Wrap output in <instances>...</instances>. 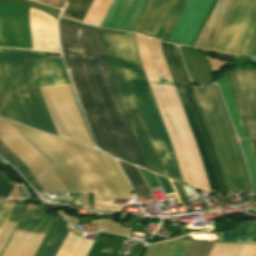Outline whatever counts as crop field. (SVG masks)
<instances>
[{"label": "crop field", "instance_id": "crop-field-1", "mask_svg": "<svg viewBox=\"0 0 256 256\" xmlns=\"http://www.w3.org/2000/svg\"><path fill=\"white\" fill-rule=\"evenodd\" d=\"M12 124L49 158L71 192H82V206L89 208L91 191L99 210L122 207L102 198H134L116 163L100 151Z\"/></svg>", "mask_w": 256, "mask_h": 256}, {"label": "crop field", "instance_id": "crop-field-2", "mask_svg": "<svg viewBox=\"0 0 256 256\" xmlns=\"http://www.w3.org/2000/svg\"><path fill=\"white\" fill-rule=\"evenodd\" d=\"M137 52L172 145L182 180L210 190L196 142L163 57L160 42L135 34Z\"/></svg>", "mask_w": 256, "mask_h": 256}, {"label": "crop field", "instance_id": "crop-field-3", "mask_svg": "<svg viewBox=\"0 0 256 256\" xmlns=\"http://www.w3.org/2000/svg\"><path fill=\"white\" fill-rule=\"evenodd\" d=\"M60 25L65 60L96 144L98 148L123 159L87 61L82 24L62 19Z\"/></svg>", "mask_w": 256, "mask_h": 256}, {"label": "crop field", "instance_id": "crop-field-4", "mask_svg": "<svg viewBox=\"0 0 256 256\" xmlns=\"http://www.w3.org/2000/svg\"><path fill=\"white\" fill-rule=\"evenodd\" d=\"M119 58L134 94L161 173L180 180L173 152L138 59L133 33L116 31Z\"/></svg>", "mask_w": 256, "mask_h": 256}, {"label": "crop field", "instance_id": "crop-field-5", "mask_svg": "<svg viewBox=\"0 0 256 256\" xmlns=\"http://www.w3.org/2000/svg\"><path fill=\"white\" fill-rule=\"evenodd\" d=\"M39 88L69 85L61 58L31 52ZM59 137L92 146L69 86L40 89ZM93 147V146H92Z\"/></svg>", "mask_w": 256, "mask_h": 256}, {"label": "crop field", "instance_id": "crop-field-6", "mask_svg": "<svg viewBox=\"0 0 256 256\" xmlns=\"http://www.w3.org/2000/svg\"><path fill=\"white\" fill-rule=\"evenodd\" d=\"M193 89L213 140L228 192H250L237 142L216 86Z\"/></svg>", "mask_w": 256, "mask_h": 256}, {"label": "crop field", "instance_id": "crop-field-7", "mask_svg": "<svg viewBox=\"0 0 256 256\" xmlns=\"http://www.w3.org/2000/svg\"><path fill=\"white\" fill-rule=\"evenodd\" d=\"M83 27L88 61L94 74L124 159L144 167L104 57L100 29L86 26L84 24Z\"/></svg>", "mask_w": 256, "mask_h": 256}, {"label": "crop field", "instance_id": "crop-field-8", "mask_svg": "<svg viewBox=\"0 0 256 256\" xmlns=\"http://www.w3.org/2000/svg\"><path fill=\"white\" fill-rule=\"evenodd\" d=\"M161 47L197 142L210 189L226 191L213 143L204 123L178 48L162 42Z\"/></svg>", "mask_w": 256, "mask_h": 256}, {"label": "crop field", "instance_id": "crop-field-9", "mask_svg": "<svg viewBox=\"0 0 256 256\" xmlns=\"http://www.w3.org/2000/svg\"><path fill=\"white\" fill-rule=\"evenodd\" d=\"M4 55L7 76L25 124L56 135L33 76L30 52L4 50Z\"/></svg>", "mask_w": 256, "mask_h": 256}, {"label": "crop field", "instance_id": "crop-field-10", "mask_svg": "<svg viewBox=\"0 0 256 256\" xmlns=\"http://www.w3.org/2000/svg\"><path fill=\"white\" fill-rule=\"evenodd\" d=\"M4 121L45 160L63 190H67L47 158L38 149H36L20 132H18L8 121ZM4 121L0 119V140L4 142L32 170L44 192H69L62 190L44 160ZM1 141L0 154L7 161L14 164L31 181V183L37 190L43 191L37 180L35 179L34 175L32 174L31 170Z\"/></svg>", "mask_w": 256, "mask_h": 256}, {"label": "crop field", "instance_id": "crop-field-11", "mask_svg": "<svg viewBox=\"0 0 256 256\" xmlns=\"http://www.w3.org/2000/svg\"><path fill=\"white\" fill-rule=\"evenodd\" d=\"M105 53L136 136L146 167L160 173L157 160L117 54L115 31L104 30ZM147 169V170H148ZM161 174V173H160Z\"/></svg>", "mask_w": 256, "mask_h": 256}, {"label": "crop field", "instance_id": "crop-field-12", "mask_svg": "<svg viewBox=\"0 0 256 256\" xmlns=\"http://www.w3.org/2000/svg\"><path fill=\"white\" fill-rule=\"evenodd\" d=\"M256 28V0H239L213 51L242 54Z\"/></svg>", "mask_w": 256, "mask_h": 256}, {"label": "crop field", "instance_id": "crop-field-13", "mask_svg": "<svg viewBox=\"0 0 256 256\" xmlns=\"http://www.w3.org/2000/svg\"><path fill=\"white\" fill-rule=\"evenodd\" d=\"M54 217L51 212L43 207L37 212L26 210L16 231L43 238ZM16 231H14L2 256H33L42 238Z\"/></svg>", "mask_w": 256, "mask_h": 256}, {"label": "crop field", "instance_id": "crop-field-14", "mask_svg": "<svg viewBox=\"0 0 256 256\" xmlns=\"http://www.w3.org/2000/svg\"><path fill=\"white\" fill-rule=\"evenodd\" d=\"M249 137L256 136V72L226 74Z\"/></svg>", "mask_w": 256, "mask_h": 256}, {"label": "crop field", "instance_id": "crop-field-15", "mask_svg": "<svg viewBox=\"0 0 256 256\" xmlns=\"http://www.w3.org/2000/svg\"><path fill=\"white\" fill-rule=\"evenodd\" d=\"M67 228L54 219L35 256H54L62 243ZM93 241L67 233L55 256H86Z\"/></svg>", "mask_w": 256, "mask_h": 256}, {"label": "crop field", "instance_id": "crop-field-16", "mask_svg": "<svg viewBox=\"0 0 256 256\" xmlns=\"http://www.w3.org/2000/svg\"><path fill=\"white\" fill-rule=\"evenodd\" d=\"M215 0H190L169 40L191 46Z\"/></svg>", "mask_w": 256, "mask_h": 256}, {"label": "crop field", "instance_id": "crop-field-17", "mask_svg": "<svg viewBox=\"0 0 256 256\" xmlns=\"http://www.w3.org/2000/svg\"><path fill=\"white\" fill-rule=\"evenodd\" d=\"M29 21L33 49L60 51L57 20L30 8Z\"/></svg>", "mask_w": 256, "mask_h": 256}, {"label": "crop field", "instance_id": "crop-field-18", "mask_svg": "<svg viewBox=\"0 0 256 256\" xmlns=\"http://www.w3.org/2000/svg\"><path fill=\"white\" fill-rule=\"evenodd\" d=\"M238 0H218L194 47L212 50Z\"/></svg>", "mask_w": 256, "mask_h": 256}, {"label": "crop field", "instance_id": "crop-field-19", "mask_svg": "<svg viewBox=\"0 0 256 256\" xmlns=\"http://www.w3.org/2000/svg\"><path fill=\"white\" fill-rule=\"evenodd\" d=\"M0 46L32 49L28 18L0 15Z\"/></svg>", "mask_w": 256, "mask_h": 256}, {"label": "crop field", "instance_id": "crop-field-20", "mask_svg": "<svg viewBox=\"0 0 256 256\" xmlns=\"http://www.w3.org/2000/svg\"><path fill=\"white\" fill-rule=\"evenodd\" d=\"M174 1L147 0L132 30L156 37Z\"/></svg>", "mask_w": 256, "mask_h": 256}, {"label": "crop field", "instance_id": "crop-field-21", "mask_svg": "<svg viewBox=\"0 0 256 256\" xmlns=\"http://www.w3.org/2000/svg\"><path fill=\"white\" fill-rule=\"evenodd\" d=\"M146 0H114L101 26L131 30Z\"/></svg>", "mask_w": 256, "mask_h": 256}, {"label": "crop field", "instance_id": "crop-field-22", "mask_svg": "<svg viewBox=\"0 0 256 256\" xmlns=\"http://www.w3.org/2000/svg\"><path fill=\"white\" fill-rule=\"evenodd\" d=\"M124 237L106 233H98L87 256H119L116 255ZM143 243L133 246L129 256H137ZM139 256V255H138Z\"/></svg>", "mask_w": 256, "mask_h": 256}, {"label": "crop field", "instance_id": "crop-field-23", "mask_svg": "<svg viewBox=\"0 0 256 256\" xmlns=\"http://www.w3.org/2000/svg\"><path fill=\"white\" fill-rule=\"evenodd\" d=\"M0 117L9 118L23 124L5 76L3 50H0Z\"/></svg>", "mask_w": 256, "mask_h": 256}, {"label": "crop field", "instance_id": "crop-field-24", "mask_svg": "<svg viewBox=\"0 0 256 256\" xmlns=\"http://www.w3.org/2000/svg\"><path fill=\"white\" fill-rule=\"evenodd\" d=\"M220 89L222 91L225 103L227 105L230 117L232 119L235 131L237 133V136L239 138H245L248 137L247 133L245 131L243 122L241 120L239 111L237 109L236 103L234 101L232 92L230 90L228 81L226 79V76H223L221 79L218 81Z\"/></svg>", "mask_w": 256, "mask_h": 256}, {"label": "crop field", "instance_id": "crop-field-25", "mask_svg": "<svg viewBox=\"0 0 256 256\" xmlns=\"http://www.w3.org/2000/svg\"><path fill=\"white\" fill-rule=\"evenodd\" d=\"M191 242L168 241L149 246L144 256H184Z\"/></svg>", "mask_w": 256, "mask_h": 256}, {"label": "crop field", "instance_id": "crop-field-26", "mask_svg": "<svg viewBox=\"0 0 256 256\" xmlns=\"http://www.w3.org/2000/svg\"><path fill=\"white\" fill-rule=\"evenodd\" d=\"M209 256H256V245L215 243Z\"/></svg>", "mask_w": 256, "mask_h": 256}, {"label": "crop field", "instance_id": "crop-field-27", "mask_svg": "<svg viewBox=\"0 0 256 256\" xmlns=\"http://www.w3.org/2000/svg\"><path fill=\"white\" fill-rule=\"evenodd\" d=\"M220 241L256 243V222L241 221L239 234L221 233Z\"/></svg>", "mask_w": 256, "mask_h": 256}, {"label": "crop field", "instance_id": "crop-field-28", "mask_svg": "<svg viewBox=\"0 0 256 256\" xmlns=\"http://www.w3.org/2000/svg\"><path fill=\"white\" fill-rule=\"evenodd\" d=\"M26 205H14L9 217L7 218L5 224L10 226H16ZM14 228L9 226H3L0 231V254L5 247L8 239L10 238Z\"/></svg>", "mask_w": 256, "mask_h": 256}, {"label": "crop field", "instance_id": "crop-field-29", "mask_svg": "<svg viewBox=\"0 0 256 256\" xmlns=\"http://www.w3.org/2000/svg\"><path fill=\"white\" fill-rule=\"evenodd\" d=\"M176 2H177V0L175 1L173 7L175 6ZM187 2H188V0H178V2L176 4V6L174 7V9L172 7L173 11H172V9L170 10V12H169L165 22L167 21L170 13L172 11L168 21L166 22V24L164 22L165 26H164V24L162 25V27H161L158 35H157V37H158L160 32H161V30H162V28H163V26H164V28H163L160 36H159V39H163V40H166V41L168 40V38H169V36H170L174 26L176 25V23H177L180 15L182 13V11L184 10Z\"/></svg>", "mask_w": 256, "mask_h": 256}, {"label": "crop field", "instance_id": "crop-field-30", "mask_svg": "<svg viewBox=\"0 0 256 256\" xmlns=\"http://www.w3.org/2000/svg\"><path fill=\"white\" fill-rule=\"evenodd\" d=\"M123 168L127 178L131 182L136 196L149 195L150 192L137 169L131 165L118 161Z\"/></svg>", "mask_w": 256, "mask_h": 256}, {"label": "crop field", "instance_id": "crop-field-31", "mask_svg": "<svg viewBox=\"0 0 256 256\" xmlns=\"http://www.w3.org/2000/svg\"><path fill=\"white\" fill-rule=\"evenodd\" d=\"M113 0H94L84 22L100 26Z\"/></svg>", "mask_w": 256, "mask_h": 256}, {"label": "crop field", "instance_id": "crop-field-32", "mask_svg": "<svg viewBox=\"0 0 256 256\" xmlns=\"http://www.w3.org/2000/svg\"><path fill=\"white\" fill-rule=\"evenodd\" d=\"M249 169V175L254 192L256 193V160L251 140H240Z\"/></svg>", "mask_w": 256, "mask_h": 256}, {"label": "crop field", "instance_id": "crop-field-33", "mask_svg": "<svg viewBox=\"0 0 256 256\" xmlns=\"http://www.w3.org/2000/svg\"><path fill=\"white\" fill-rule=\"evenodd\" d=\"M93 0H70L63 16L83 20Z\"/></svg>", "mask_w": 256, "mask_h": 256}, {"label": "crop field", "instance_id": "crop-field-34", "mask_svg": "<svg viewBox=\"0 0 256 256\" xmlns=\"http://www.w3.org/2000/svg\"><path fill=\"white\" fill-rule=\"evenodd\" d=\"M14 183L7 180L3 173L0 172V199L6 198Z\"/></svg>", "mask_w": 256, "mask_h": 256}, {"label": "crop field", "instance_id": "crop-field-35", "mask_svg": "<svg viewBox=\"0 0 256 256\" xmlns=\"http://www.w3.org/2000/svg\"><path fill=\"white\" fill-rule=\"evenodd\" d=\"M138 169L141 171V173H142L148 187L150 188V190L154 189L155 187L160 186V184L158 183L157 179L155 178V176L153 174H151L147 171H144L140 168H138Z\"/></svg>", "mask_w": 256, "mask_h": 256}, {"label": "crop field", "instance_id": "crop-field-36", "mask_svg": "<svg viewBox=\"0 0 256 256\" xmlns=\"http://www.w3.org/2000/svg\"><path fill=\"white\" fill-rule=\"evenodd\" d=\"M13 205L0 203V230L9 215Z\"/></svg>", "mask_w": 256, "mask_h": 256}, {"label": "crop field", "instance_id": "crop-field-37", "mask_svg": "<svg viewBox=\"0 0 256 256\" xmlns=\"http://www.w3.org/2000/svg\"><path fill=\"white\" fill-rule=\"evenodd\" d=\"M243 54L256 56V30L247 44Z\"/></svg>", "mask_w": 256, "mask_h": 256}, {"label": "crop field", "instance_id": "crop-field-38", "mask_svg": "<svg viewBox=\"0 0 256 256\" xmlns=\"http://www.w3.org/2000/svg\"><path fill=\"white\" fill-rule=\"evenodd\" d=\"M172 181V180H171ZM174 188L178 194V197L180 199L181 202H189L187 199V196L183 190V186L177 182L172 181Z\"/></svg>", "mask_w": 256, "mask_h": 256}, {"label": "crop field", "instance_id": "crop-field-39", "mask_svg": "<svg viewBox=\"0 0 256 256\" xmlns=\"http://www.w3.org/2000/svg\"><path fill=\"white\" fill-rule=\"evenodd\" d=\"M157 177H158V179H159V181H160V183H161V185H162L166 194L174 192L170 183H169V181L167 179L162 178L158 175H157Z\"/></svg>", "mask_w": 256, "mask_h": 256}, {"label": "crop field", "instance_id": "crop-field-40", "mask_svg": "<svg viewBox=\"0 0 256 256\" xmlns=\"http://www.w3.org/2000/svg\"><path fill=\"white\" fill-rule=\"evenodd\" d=\"M65 0H44L43 3L55 7L62 8Z\"/></svg>", "mask_w": 256, "mask_h": 256}, {"label": "crop field", "instance_id": "crop-field-41", "mask_svg": "<svg viewBox=\"0 0 256 256\" xmlns=\"http://www.w3.org/2000/svg\"><path fill=\"white\" fill-rule=\"evenodd\" d=\"M253 146H254V151H255V156H256V140H252Z\"/></svg>", "mask_w": 256, "mask_h": 256}]
</instances>
